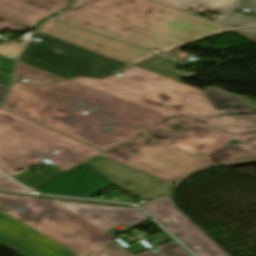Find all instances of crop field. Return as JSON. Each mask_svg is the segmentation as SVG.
Returning <instances> with one entry per match:
<instances>
[{"label":"crop field","instance_id":"crop-field-1","mask_svg":"<svg viewBox=\"0 0 256 256\" xmlns=\"http://www.w3.org/2000/svg\"><path fill=\"white\" fill-rule=\"evenodd\" d=\"M3 108L103 151L167 118L69 80L40 87L13 82Z\"/></svg>","mask_w":256,"mask_h":256},{"label":"crop field","instance_id":"crop-field-2","mask_svg":"<svg viewBox=\"0 0 256 256\" xmlns=\"http://www.w3.org/2000/svg\"><path fill=\"white\" fill-rule=\"evenodd\" d=\"M54 19L148 49L163 50L224 26L147 0H77Z\"/></svg>","mask_w":256,"mask_h":256},{"label":"crop field","instance_id":"crop-field-3","mask_svg":"<svg viewBox=\"0 0 256 256\" xmlns=\"http://www.w3.org/2000/svg\"><path fill=\"white\" fill-rule=\"evenodd\" d=\"M0 210L78 256H133L109 240L113 235L48 199L0 192ZM135 256L190 255L172 241Z\"/></svg>","mask_w":256,"mask_h":256},{"label":"crop field","instance_id":"crop-field-4","mask_svg":"<svg viewBox=\"0 0 256 256\" xmlns=\"http://www.w3.org/2000/svg\"><path fill=\"white\" fill-rule=\"evenodd\" d=\"M53 149L61 152L46 156L55 161L52 167L39 174L28 170L14 179L30 188L103 153L0 108V169L5 173L13 176V170L34 165L31 159Z\"/></svg>","mask_w":256,"mask_h":256},{"label":"crop field","instance_id":"crop-field-5","mask_svg":"<svg viewBox=\"0 0 256 256\" xmlns=\"http://www.w3.org/2000/svg\"><path fill=\"white\" fill-rule=\"evenodd\" d=\"M142 136L215 163L254 157L256 115L170 119Z\"/></svg>","mask_w":256,"mask_h":256},{"label":"crop field","instance_id":"crop-field-6","mask_svg":"<svg viewBox=\"0 0 256 256\" xmlns=\"http://www.w3.org/2000/svg\"><path fill=\"white\" fill-rule=\"evenodd\" d=\"M119 73L123 75L69 80L167 117L216 114L201 90L135 66Z\"/></svg>","mask_w":256,"mask_h":256},{"label":"crop field","instance_id":"crop-field-7","mask_svg":"<svg viewBox=\"0 0 256 256\" xmlns=\"http://www.w3.org/2000/svg\"><path fill=\"white\" fill-rule=\"evenodd\" d=\"M35 37L42 39L41 42H30L19 61L64 78L75 75L104 77L128 66L40 32H36Z\"/></svg>","mask_w":256,"mask_h":256},{"label":"crop field","instance_id":"crop-field-8","mask_svg":"<svg viewBox=\"0 0 256 256\" xmlns=\"http://www.w3.org/2000/svg\"><path fill=\"white\" fill-rule=\"evenodd\" d=\"M170 183L215 164L149 139L138 137L100 155Z\"/></svg>","mask_w":256,"mask_h":256},{"label":"crop field","instance_id":"crop-field-9","mask_svg":"<svg viewBox=\"0 0 256 256\" xmlns=\"http://www.w3.org/2000/svg\"><path fill=\"white\" fill-rule=\"evenodd\" d=\"M197 256H228L179 212L170 197L140 205Z\"/></svg>","mask_w":256,"mask_h":256},{"label":"crop field","instance_id":"crop-field-10","mask_svg":"<svg viewBox=\"0 0 256 256\" xmlns=\"http://www.w3.org/2000/svg\"><path fill=\"white\" fill-rule=\"evenodd\" d=\"M40 31L134 65L156 54L52 20Z\"/></svg>","mask_w":256,"mask_h":256},{"label":"crop field","instance_id":"crop-field-11","mask_svg":"<svg viewBox=\"0 0 256 256\" xmlns=\"http://www.w3.org/2000/svg\"><path fill=\"white\" fill-rule=\"evenodd\" d=\"M0 244L19 256H76L2 211H0Z\"/></svg>","mask_w":256,"mask_h":256},{"label":"crop field","instance_id":"crop-field-12","mask_svg":"<svg viewBox=\"0 0 256 256\" xmlns=\"http://www.w3.org/2000/svg\"><path fill=\"white\" fill-rule=\"evenodd\" d=\"M99 172L120 189L150 200L170 193V183L144 172L96 156L88 160Z\"/></svg>","mask_w":256,"mask_h":256},{"label":"crop field","instance_id":"crop-field-13","mask_svg":"<svg viewBox=\"0 0 256 256\" xmlns=\"http://www.w3.org/2000/svg\"><path fill=\"white\" fill-rule=\"evenodd\" d=\"M112 185L87 161L31 188L35 191L86 198Z\"/></svg>","mask_w":256,"mask_h":256},{"label":"crop field","instance_id":"crop-field-14","mask_svg":"<svg viewBox=\"0 0 256 256\" xmlns=\"http://www.w3.org/2000/svg\"><path fill=\"white\" fill-rule=\"evenodd\" d=\"M52 201L105 230L122 223L133 227L147 220V218L138 209L135 208L65 202L57 200Z\"/></svg>","mask_w":256,"mask_h":256},{"label":"crop field","instance_id":"crop-field-15","mask_svg":"<svg viewBox=\"0 0 256 256\" xmlns=\"http://www.w3.org/2000/svg\"><path fill=\"white\" fill-rule=\"evenodd\" d=\"M68 0H0V16L32 27L63 8Z\"/></svg>","mask_w":256,"mask_h":256},{"label":"crop field","instance_id":"crop-field-16","mask_svg":"<svg viewBox=\"0 0 256 256\" xmlns=\"http://www.w3.org/2000/svg\"><path fill=\"white\" fill-rule=\"evenodd\" d=\"M202 91L217 114L256 113V105H250L241 96L227 93L217 87H205Z\"/></svg>","mask_w":256,"mask_h":256},{"label":"crop field","instance_id":"crop-field-17","mask_svg":"<svg viewBox=\"0 0 256 256\" xmlns=\"http://www.w3.org/2000/svg\"><path fill=\"white\" fill-rule=\"evenodd\" d=\"M21 78L29 80L28 82H23V83H29V84H35V85L63 79L61 77L41 71L39 69H36L34 67H31L29 65H26L18 61L14 81L22 82L20 81Z\"/></svg>","mask_w":256,"mask_h":256},{"label":"crop field","instance_id":"crop-field-18","mask_svg":"<svg viewBox=\"0 0 256 256\" xmlns=\"http://www.w3.org/2000/svg\"><path fill=\"white\" fill-rule=\"evenodd\" d=\"M174 62L175 61L157 56L155 58H152L150 60L137 64L135 66H138L140 68L149 70L151 72H154L178 81L179 77L176 75V73L173 70H171V66Z\"/></svg>","mask_w":256,"mask_h":256},{"label":"crop field","instance_id":"crop-field-19","mask_svg":"<svg viewBox=\"0 0 256 256\" xmlns=\"http://www.w3.org/2000/svg\"><path fill=\"white\" fill-rule=\"evenodd\" d=\"M168 5L187 10L195 3L219 10L223 12L235 0H157Z\"/></svg>","mask_w":256,"mask_h":256},{"label":"crop field","instance_id":"crop-field-20","mask_svg":"<svg viewBox=\"0 0 256 256\" xmlns=\"http://www.w3.org/2000/svg\"><path fill=\"white\" fill-rule=\"evenodd\" d=\"M219 23L231 30H234V29L256 26V19L245 16L241 18L223 20V21H220Z\"/></svg>","mask_w":256,"mask_h":256},{"label":"crop field","instance_id":"crop-field-21","mask_svg":"<svg viewBox=\"0 0 256 256\" xmlns=\"http://www.w3.org/2000/svg\"><path fill=\"white\" fill-rule=\"evenodd\" d=\"M239 6L245 7L256 12V0H236L228 9H226L223 12L222 16L224 18L234 17V11Z\"/></svg>","mask_w":256,"mask_h":256},{"label":"crop field","instance_id":"crop-field-22","mask_svg":"<svg viewBox=\"0 0 256 256\" xmlns=\"http://www.w3.org/2000/svg\"><path fill=\"white\" fill-rule=\"evenodd\" d=\"M25 43L26 42L18 46L13 40L8 44H0V54L4 56L10 55L16 57Z\"/></svg>","mask_w":256,"mask_h":256},{"label":"crop field","instance_id":"crop-field-23","mask_svg":"<svg viewBox=\"0 0 256 256\" xmlns=\"http://www.w3.org/2000/svg\"><path fill=\"white\" fill-rule=\"evenodd\" d=\"M0 189L30 192V191L22 188L18 184L14 183L13 181L9 180L2 173H0Z\"/></svg>","mask_w":256,"mask_h":256},{"label":"crop field","instance_id":"crop-field-24","mask_svg":"<svg viewBox=\"0 0 256 256\" xmlns=\"http://www.w3.org/2000/svg\"><path fill=\"white\" fill-rule=\"evenodd\" d=\"M14 60L0 55V70L12 73Z\"/></svg>","mask_w":256,"mask_h":256},{"label":"crop field","instance_id":"crop-field-25","mask_svg":"<svg viewBox=\"0 0 256 256\" xmlns=\"http://www.w3.org/2000/svg\"><path fill=\"white\" fill-rule=\"evenodd\" d=\"M238 34L256 42V27L235 31Z\"/></svg>","mask_w":256,"mask_h":256},{"label":"crop field","instance_id":"crop-field-26","mask_svg":"<svg viewBox=\"0 0 256 256\" xmlns=\"http://www.w3.org/2000/svg\"><path fill=\"white\" fill-rule=\"evenodd\" d=\"M49 197V196H46ZM50 198H58V199H66V200H75V201H84V202H93V203H103V204H112V205H121V206H128L122 204H114V203H106V202H97V201H89V200H79V199H69V198H59V197H50ZM132 207V206H130Z\"/></svg>","mask_w":256,"mask_h":256},{"label":"crop field","instance_id":"crop-field-27","mask_svg":"<svg viewBox=\"0 0 256 256\" xmlns=\"http://www.w3.org/2000/svg\"><path fill=\"white\" fill-rule=\"evenodd\" d=\"M13 24H15V23L0 18V30L4 29V28H6V27H9V26H11V25H13Z\"/></svg>","mask_w":256,"mask_h":256},{"label":"crop field","instance_id":"crop-field-28","mask_svg":"<svg viewBox=\"0 0 256 256\" xmlns=\"http://www.w3.org/2000/svg\"><path fill=\"white\" fill-rule=\"evenodd\" d=\"M7 89H8L7 87L0 85V103L4 99Z\"/></svg>","mask_w":256,"mask_h":256},{"label":"crop field","instance_id":"crop-field-29","mask_svg":"<svg viewBox=\"0 0 256 256\" xmlns=\"http://www.w3.org/2000/svg\"><path fill=\"white\" fill-rule=\"evenodd\" d=\"M239 9H241V7H239L235 12H237ZM240 16H244V15H240L238 13H236V16L235 17H240ZM234 17V18H235ZM224 18L220 15L218 18H216L215 20L216 21H219V20H223Z\"/></svg>","mask_w":256,"mask_h":256},{"label":"crop field","instance_id":"crop-field-30","mask_svg":"<svg viewBox=\"0 0 256 256\" xmlns=\"http://www.w3.org/2000/svg\"><path fill=\"white\" fill-rule=\"evenodd\" d=\"M20 27H21L20 25L15 24V25H13V26L7 28V29L14 31V30H16V29H18V28H20Z\"/></svg>","mask_w":256,"mask_h":256},{"label":"crop field","instance_id":"crop-field-31","mask_svg":"<svg viewBox=\"0 0 256 256\" xmlns=\"http://www.w3.org/2000/svg\"><path fill=\"white\" fill-rule=\"evenodd\" d=\"M192 8H204V9H210V8H207V7H204V6L198 5V4L194 5ZM192 8H191V9H192ZM210 10H213V9H210ZM215 11H216V10H215Z\"/></svg>","mask_w":256,"mask_h":256},{"label":"crop field","instance_id":"crop-field-32","mask_svg":"<svg viewBox=\"0 0 256 256\" xmlns=\"http://www.w3.org/2000/svg\"><path fill=\"white\" fill-rule=\"evenodd\" d=\"M9 83H10V82H0V84L5 85V86H7V87L9 86Z\"/></svg>","mask_w":256,"mask_h":256}]
</instances>
